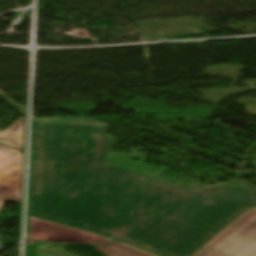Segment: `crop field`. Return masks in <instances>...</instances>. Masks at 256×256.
<instances>
[{"label": "crop field", "mask_w": 256, "mask_h": 256, "mask_svg": "<svg viewBox=\"0 0 256 256\" xmlns=\"http://www.w3.org/2000/svg\"><path fill=\"white\" fill-rule=\"evenodd\" d=\"M22 153L0 145V208L5 199L20 202Z\"/></svg>", "instance_id": "412701ff"}, {"label": "crop field", "mask_w": 256, "mask_h": 256, "mask_svg": "<svg viewBox=\"0 0 256 256\" xmlns=\"http://www.w3.org/2000/svg\"><path fill=\"white\" fill-rule=\"evenodd\" d=\"M106 124L34 118L31 214L133 243L162 256H189L249 208L243 180L187 191L103 162Z\"/></svg>", "instance_id": "8a807250"}, {"label": "crop field", "mask_w": 256, "mask_h": 256, "mask_svg": "<svg viewBox=\"0 0 256 256\" xmlns=\"http://www.w3.org/2000/svg\"><path fill=\"white\" fill-rule=\"evenodd\" d=\"M252 209L256 210V208H252Z\"/></svg>", "instance_id": "d8731c3e"}, {"label": "crop field", "mask_w": 256, "mask_h": 256, "mask_svg": "<svg viewBox=\"0 0 256 256\" xmlns=\"http://www.w3.org/2000/svg\"><path fill=\"white\" fill-rule=\"evenodd\" d=\"M27 240L61 241V242H99L109 238L91 234L75 228L30 217Z\"/></svg>", "instance_id": "34b2d1b8"}, {"label": "crop field", "mask_w": 256, "mask_h": 256, "mask_svg": "<svg viewBox=\"0 0 256 256\" xmlns=\"http://www.w3.org/2000/svg\"><path fill=\"white\" fill-rule=\"evenodd\" d=\"M90 246L104 256H156L117 240Z\"/></svg>", "instance_id": "f4fd0767"}, {"label": "crop field", "mask_w": 256, "mask_h": 256, "mask_svg": "<svg viewBox=\"0 0 256 256\" xmlns=\"http://www.w3.org/2000/svg\"><path fill=\"white\" fill-rule=\"evenodd\" d=\"M25 118L0 132V142L22 150L24 138Z\"/></svg>", "instance_id": "dd49c442"}, {"label": "crop field", "mask_w": 256, "mask_h": 256, "mask_svg": "<svg viewBox=\"0 0 256 256\" xmlns=\"http://www.w3.org/2000/svg\"><path fill=\"white\" fill-rule=\"evenodd\" d=\"M202 248L222 256H256V211L250 209Z\"/></svg>", "instance_id": "ac0d7876"}, {"label": "crop field", "mask_w": 256, "mask_h": 256, "mask_svg": "<svg viewBox=\"0 0 256 256\" xmlns=\"http://www.w3.org/2000/svg\"><path fill=\"white\" fill-rule=\"evenodd\" d=\"M192 256H219V255L214 254V253H212L210 251H207L205 249L200 248Z\"/></svg>", "instance_id": "e52e79f7"}]
</instances>
